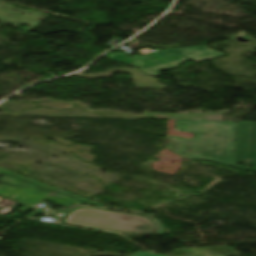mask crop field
Here are the masks:
<instances>
[{"label": "crop field", "mask_w": 256, "mask_h": 256, "mask_svg": "<svg viewBox=\"0 0 256 256\" xmlns=\"http://www.w3.org/2000/svg\"><path fill=\"white\" fill-rule=\"evenodd\" d=\"M234 128L235 122L176 120L175 130L195 133V138L167 135L166 149L182 159L231 166Z\"/></svg>", "instance_id": "obj_1"}, {"label": "crop field", "mask_w": 256, "mask_h": 256, "mask_svg": "<svg viewBox=\"0 0 256 256\" xmlns=\"http://www.w3.org/2000/svg\"><path fill=\"white\" fill-rule=\"evenodd\" d=\"M0 196L35 206L42 200L66 207L78 203L100 205L61 189L0 168Z\"/></svg>", "instance_id": "obj_2"}, {"label": "crop field", "mask_w": 256, "mask_h": 256, "mask_svg": "<svg viewBox=\"0 0 256 256\" xmlns=\"http://www.w3.org/2000/svg\"><path fill=\"white\" fill-rule=\"evenodd\" d=\"M222 55L226 54L204 46H198L171 51L160 50L136 59H132L119 53H115V55L111 53L107 55L106 58L126 64L131 63L133 64L132 66L140 68L145 74L159 77L160 70L174 69L189 59L199 63Z\"/></svg>", "instance_id": "obj_3"}, {"label": "crop field", "mask_w": 256, "mask_h": 256, "mask_svg": "<svg viewBox=\"0 0 256 256\" xmlns=\"http://www.w3.org/2000/svg\"><path fill=\"white\" fill-rule=\"evenodd\" d=\"M64 221L70 225L126 233H145L155 230V224L147 217L87 208H78L70 212Z\"/></svg>", "instance_id": "obj_4"}, {"label": "crop field", "mask_w": 256, "mask_h": 256, "mask_svg": "<svg viewBox=\"0 0 256 256\" xmlns=\"http://www.w3.org/2000/svg\"><path fill=\"white\" fill-rule=\"evenodd\" d=\"M252 165L256 172V123L236 122L232 167Z\"/></svg>", "instance_id": "obj_5"}, {"label": "crop field", "mask_w": 256, "mask_h": 256, "mask_svg": "<svg viewBox=\"0 0 256 256\" xmlns=\"http://www.w3.org/2000/svg\"><path fill=\"white\" fill-rule=\"evenodd\" d=\"M134 256H162V255L150 253V252H139V253L135 254Z\"/></svg>", "instance_id": "obj_6"}]
</instances>
